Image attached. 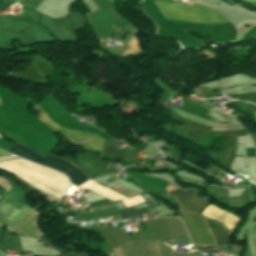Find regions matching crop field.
Here are the masks:
<instances>
[{
    "instance_id": "obj_12",
    "label": "crop field",
    "mask_w": 256,
    "mask_h": 256,
    "mask_svg": "<svg viewBox=\"0 0 256 256\" xmlns=\"http://www.w3.org/2000/svg\"><path fill=\"white\" fill-rule=\"evenodd\" d=\"M115 205L118 208V210L125 209V207L123 206V204L121 202H117V203H115Z\"/></svg>"
},
{
    "instance_id": "obj_6",
    "label": "crop field",
    "mask_w": 256,
    "mask_h": 256,
    "mask_svg": "<svg viewBox=\"0 0 256 256\" xmlns=\"http://www.w3.org/2000/svg\"><path fill=\"white\" fill-rule=\"evenodd\" d=\"M34 108L38 112V116L41 122L48 124L56 131L62 133L64 136H66L68 139L73 141L75 144H80V145L90 146V147H98V148L102 147L103 141H97V140H102L97 134L59 128L58 126H56L50 121V119L46 116V114L43 112V110L40 108L39 105L34 106ZM81 137L88 138V139H97V140H90L89 142H86V143H80L78 141Z\"/></svg>"
},
{
    "instance_id": "obj_3",
    "label": "crop field",
    "mask_w": 256,
    "mask_h": 256,
    "mask_svg": "<svg viewBox=\"0 0 256 256\" xmlns=\"http://www.w3.org/2000/svg\"><path fill=\"white\" fill-rule=\"evenodd\" d=\"M0 168L13 172L22 180L58 199L68 187L64 175L19 158L0 162Z\"/></svg>"
},
{
    "instance_id": "obj_7",
    "label": "crop field",
    "mask_w": 256,
    "mask_h": 256,
    "mask_svg": "<svg viewBox=\"0 0 256 256\" xmlns=\"http://www.w3.org/2000/svg\"><path fill=\"white\" fill-rule=\"evenodd\" d=\"M30 208L18 202H5L0 206V218L6 221L9 228L20 219Z\"/></svg>"
},
{
    "instance_id": "obj_1",
    "label": "crop field",
    "mask_w": 256,
    "mask_h": 256,
    "mask_svg": "<svg viewBox=\"0 0 256 256\" xmlns=\"http://www.w3.org/2000/svg\"><path fill=\"white\" fill-rule=\"evenodd\" d=\"M167 196L175 198L178 201L179 207L182 208L181 210L190 212L203 246H205V245H230L229 238L232 233L229 232L226 228H207V226L208 227H224V226L204 217L206 224H207V226H206L204 219H203L202 215L200 214L202 211L201 209H197V208H193V207H189V206H185V205H180V204L196 197L194 195V190H192V189H188V190L177 189V190L168 192ZM184 204L202 208V209H204L208 205L207 202L202 201L198 198H195V199H193L189 202H186ZM190 214L187 212L181 211L179 218H181L184 221L193 244L194 245H202L200 242V239L198 237V234L196 232V229H195V226L193 224ZM215 247L216 246L196 247V249L199 251H202V252L213 253ZM232 250L241 251L242 247H239L237 245H232Z\"/></svg>"
},
{
    "instance_id": "obj_4",
    "label": "crop field",
    "mask_w": 256,
    "mask_h": 256,
    "mask_svg": "<svg viewBox=\"0 0 256 256\" xmlns=\"http://www.w3.org/2000/svg\"><path fill=\"white\" fill-rule=\"evenodd\" d=\"M8 152L25 157V158L35 161L37 163H40V164H43L50 168H53L61 173H64L66 176L69 177L70 182L74 185L78 186V185L90 180L87 176H85L81 172L79 167H77L67 161L61 160L59 158L51 157L49 155L46 156L45 158H42L41 156L36 154L31 149H29L25 146H22L18 143H16L13 147H11L8 150ZM78 187H80L82 189H88L90 191H94L96 193H99L103 196L110 198L113 201L126 199V197H124L108 188H105L91 180L78 186Z\"/></svg>"
},
{
    "instance_id": "obj_8",
    "label": "crop field",
    "mask_w": 256,
    "mask_h": 256,
    "mask_svg": "<svg viewBox=\"0 0 256 256\" xmlns=\"http://www.w3.org/2000/svg\"><path fill=\"white\" fill-rule=\"evenodd\" d=\"M183 101V106L180 107V109L194 115V116H198L201 118H205L208 120H212L210 117H208L206 114L208 112V110L205 108V104L204 103H194L191 100H188L186 98L182 99Z\"/></svg>"
},
{
    "instance_id": "obj_13",
    "label": "crop field",
    "mask_w": 256,
    "mask_h": 256,
    "mask_svg": "<svg viewBox=\"0 0 256 256\" xmlns=\"http://www.w3.org/2000/svg\"><path fill=\"white\" fill-rule=\"evenodd\" d=\"M5 155H7V154H5V153H3V152L0 151V157H1V156H5Z\"/></svg>"
},
{
    "instance_id": "obj_10",
    "label": "crop field",
    "mask_w": 256,
    "mask_h": 256,
    "mask_svg": "<svg viewBox=\"0 0 256 256\" xmlns=\"http://www.w3.org/2000/svg\"><path fill=\"white\" fill-rule=\"evenodd\" d=\"M122 202L126 206V208H128V207L133 206L135 204L143 203L145 201L139 195H137V196H135L131 199L123 200Z\"/></svg>"
},
{
    "instance_id": "obj_11",
    "label": "crop field",
    "mask_w": 256,
    "mask_h": 256,
    "mask_svg": "<svg viewBox=\"0 0 256 256\" xmlns=\"http://www.w3.org/2000/svg\"><path fill=\"white\" fill-rule=\"evenodd\" d=\"M141 197H142L147 203L142 204V205L135 206V207H133L134 209L155 205L154 200H153L149 195H141Z\"/></svg>"
},
{
    "instance_id": "obj_9",
    "label": "crop field",
    "mask_w": 256,
    "mask_h": 256,
    "mask_svg": "<svg viewBox=\"0 0 256 256\" xmlns=\"http://www.w3.org/2000/svg\"><path fill=\"white\" fill-rule=\"evenodd\" d=\"M145 256L159 255L158 242L144 243ZM112 256H130L129 245L112 250Z\"/></svg>"
},
{
    "instance_id": "obj_5",
    "label": "crop field",
    "mask_w": 256,
    "mask_h": 256,
    "mask_svg": "<svg viewBox=\"0 0 256 256\" xmlns=\"http://www.w3.org/2000/svg\"><path fill=\"white\" fill-rule=\"evenodd\" d=\"M154 1L165 19L206 24L227 23L228 21L207 6L199 4L181 6L167 1Z\"/></svg>"
},
{
    "instance_id": "obj_14",
    "label": "crop field",
    "mask_w": 256,
    "mask_h": 256,
    "mask_svg": "<svg viewBox=\"0 0 256 256\" xmlns=\"http://www.w3.org/2000/svg\"><path fill=\"white\" fill-rule=\"evenodd\" d=\"M253 115H254V117H255V119H256V113H253Z\"/></svg>"
},
{
    "instance_id": "obj_2",
    "label": "crop field",
    "mask_w": 256,
    "mask_h": 256,
    "mask_svg": "<svg viewBox=\"0 0 256 256\" xmlns=\"http://www.w3.org/2000/svg\"><path fill=\"white\" fill-rule=\"evenodd\" d=\"M152 232L155 241H169L173 238H184L188 239L187 233L184 229L182 222L179 219H172L166 221H160L148 224ZM147 224L143 225L144 230L139 232L135 238L134 242H150L154 241L150 233ZM131 240L132 238L120 228ZM119 228L111 230L124 244L131 243V240L120 230ZM110 230L101 232L108 245L113 248L120 247L124 245ZM132 240V241H133ZM160 256H171L174 252L172 249L164 245V243L159 242ZM131 256H144L143 243H131L130 244ZM172 256H201V253H190V254H179L173 253Z\"/></svg>"
}]
</instances>
